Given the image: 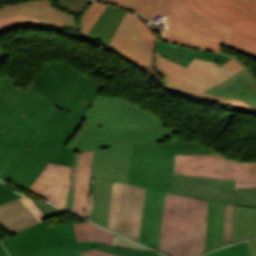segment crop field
Here are the masks:
<instances>
[{"instance_id": "crop-field-23", "label": "crop field", "mask_w": 256, "mask_h": 256, "mask_svg": "<svg viewBox=\"0 0 256 256\" xmlns=\"http://www.w3.org/2000/svg\"><path fill=\"white\" fill-rule=\"evenodd\" d=\"M78 241L95 240L111 244L113 234L90 223L74 224Z\"/></svg>"}, {"instance_id": "crop-field-42", "label": "crop field", "mask_w": 256, "mask_h": 256, "mask_svg": "<svg viewBox=\"0 0 256 256\" xmlns=\"http://www.w3.org/2000/svg\"><path fill=\"white\" fill-rule=\"evenodd\" d=\"M1 132V131H0Z\"/></svg>"}, {"instance_id": "crop-field-6", "label": "crop field", "mask_w": 256, "mask_h": 256, "mask_svg": "<svg viewBox=\"0 0 256 256\" xmlns=\"http://www.w3.org/2000/svg\"><path fill=\"white\" fill-rule=\"evenodd\" d=\"M159 53V52H158ZM154 52L155 68L165 77L164 85L172 91L209 102L227 103L240 109L256 111L241 99L212 96L202 92L228 80L245 68L241 63L230 59L223 65L194 58L187 68L175 64Z\"/></svg>"}, {"instance_id": "crop-field-41", "label": "crop field", "mask_w": 256, "mask_h": 256, "mask_svg": "<svg viewBox=\"0 0 256 256\" xmlns=\"http://www.w3.org/2000/svg\"><path fill=\"white\" fill-rule=\"evenodd\" d=\"M251 1L254 2V3L256 2V0H251Z\"/></svg>"}, {"instance_id": "crop-field-19", "label": "crop field", "mask_w": 256, "mask_h": 256, "mask_svg": "<svg viewBox=\"0 0 256 256\" xmlns=\"http://www.w3.org/2000/svg\"><path fill=\"white\" fill-rule=\"evenodd\" d=\"M93 151L82 152L79 162L73 213L84 217Z\"/></svg>"}, {"instance_id": "crop-field-31", "label": "crop field", "mask_w": 256, "mask_h": 256, "mask_svg": "<svg viewBox=\"0 0 256 256\" xmlns=\"http://www.w3.org/2000/svg\"><path fill=\"white\" fill-rule=\"evenodd\" d=\"M24 195L4 186V184L0 183V204L10 201V200H14L17 198H20Z\"/></svg>"}, {"instance_id": "crop-field-35", "label": "crop field", "mask_w": 256, "mask_h": 256, "mask_svg": "<svg viewBox=\"0 0 256 256\" xmlns=\"http://www.w3.org/2000/svg\"><path fill=\"white\" fill-rule=\"evenodd\" d=\"M113 245L115 246H122V247H128V248H132V249H141V250H147L133 242H130L124 238H121L117 235H114V241H113Z\"/></svg>"}, {"instance_id": "crop-field-25", "label": "crop field", "mask_w": 256, "mask_h": 256, "mask_svg": "<svg viewBox=\"0 0 256 256\" xmlns=\"http://www.w3.org/2000/svg\"><path fill=\"white\" fill-rule=\"evenodd\" d=\"M230 31L231 37L230 41L228 42L229 44L256 51V37L233 27L230 28Z\"/></svg>"}, {"instance_id": "crop-field-3", "label": "crop field", "mask_w": 256, "mask_h": 256, "mask_svg": "<svg viewBox=\"0 0 256 256\" xmlns=\"http://www.w3.org/2000/svg\"><path fill=\"white\" fill-rule=\"evenodd\" d=\"M165 124L166 122L123 97L106 98L99 95L73 134L75 138L65 146L74 151L65 209L70 211L73 207L81 151L130 143L167 142L166 138L181 141L173 136L180 130L164 127Z\"/></svg>"}, {"instance_id": "crop-field-2", "label": "crop field", "mask_w": 256, "mask_h": 256, "mask_svg": "<svg viewBox=\"0 0 256 256\" xmlns=\"http://www.w3.org/2000/svg\"><path fill=\"white\" fill-rule=\"evenodd\" d=\"M129 9L146 21L168 17L170 25L163 40L182 45L221 51L222 46L237 50L256 60V52L226 44L229 27L256 36V16L228 0H104Z\"/></svg>"}, {"instance_id": "crop-field-5", "label": "crop field", "mask_w": 256, "mask_h": 256, "mask_svg": "<svg viewBox=\"0 0 256 256\" xmlns=\"http://www.w3.org/2000/svg\"><path fill=\"white\" fill-rule=\"evenodd\" d=\"M208 202L166 193L159 250L171 256L204 254Z\"/></svg>"}, {"instance_id": "crop-field-22", "label": "crop field", "mask_w": 256, "mask_h": 256, "mask_svg": "<svg viewBox=\"0 0 256 256\" xmlns=\"http://www.w3.org/2000/svg\"><path fill=\"white\" fill-rule=\"evenodd\" d=\"M156 44V50L160 55L185 67H187L192 59L200 52V50L183 48L160 40L157 41Z\"/></svg>"}, {"instance_id": "crop-field-14", "label": "crop field", "mask_w": 256, "mask_h": 256, "mask_svg": "<svg viewBox=\"0 0 256 256\" xmlns=\"http://www.w3.org/2000/svg\"><path fill=\"white\" fill-rule=\"evenodd\" d=\"M16 83L14 79L8 76L1 80L0 103L24 115L43 97L32 84L26 91H23L16 87Z\"/></svg>"}, {"instance_id": "crop-field-4", "label": "crop field", "mask_w": 256, "mask_h": 256, "mask_svg": "<svg viewBox=\"0 0 256 256\" xmlns=\"http://www.w3.org/2000/svg\"><path fill=\"white\" fill-rule=\"evenodd\" d=\"M199 143L134 144L129 184L146 187L140 243L158 249L165 192L172 193L175 153H214Z\"/></svg>"}, {"instance_id": "crop-field-37", "label": "crop field", "mask_w": 256, "mask_h": 256, "mask_svg": "<svg viewBox=\"0 0 256 256\" xmlns=\"http://www.w3.org/2000/svg\"><path fill=\"white\" fill-rule=\"evenodd\" d=\"M79 255H84V256H115L103 251H98V250H93V251H89V252H85Z\"/></svg>"}, {"instance_id": "crop-field-18", "label": "crop field", "mask_w": 256, "mask_h": 256, "mask_svg": "<svg viewBox=\"0 0 256 256\" xmlns=\"http://www.w3.org/2000/svg\"><path fill=\"white\" fill-rule=\"evenodd\" d=\"M225 205L209 202L205 253L222 247Z\"/></svg>"}, {"instance_id": "crop-field-1", "label": "crop field", "mask_w": 256, "mask_h": 256, "mask_svg": "<svg viewBox=\"0 0 256 256\" xmlns=\"http://www.w3.org/2000/svg\"><path fill=\"white\" fill-rule=\"evenodd\" d=\"M32 84L44 98L0 133V180L64 208L73 157L64 146L103 85L61 61Z\"/></svg>"}, {"instance_id": "crop-field-16", "label": "crop field", "mask_w": 256, "mask_h": 256, "mask_svg": "<svg viewBox=\"0 0 256 256\" xmlns=\"http://www.w3.org/2000/svg\"><path fill=\"white\" fill-rule=\"evenodd\" d=\"M38 223L20 199L0 205V226L9 234Z\"/></svg>"}, {"instance_id": "crop-field-12", "label": "crop field", "mask_w": 256, "mask_h": 256, "mask_svg": "<svg viewBox=\"0 0 256 256\" xmlns=\"http://www.w3.org/2000/svg\"><path fill=\"white\" fill-rule=\"evenodd\" d=\"M157 40L142 20L127 12L108 47L146 69L154 61Z\"/></svg>"}, {"instance_id": "crop-field-7", "label": "crop field", "mask_w": 256, "mask_h": 256, "mask_svg": "<svg viewBox=\"0 0 256 256\" xmlns=\"http://www.w3.org/2000/svg\"><path fill=\"white\" fill-rule=\"evenodd\" d=\"M132 149L130 144L95 150L93 154L91 176L97 181L91 221L106 228L112 180L128 183Z\"/></svg>"}, {"instance_id": "crop-field-15", "label": "crop field", "mask_w": 256, "mask_h": 256, "mask_svg": "<svg viewBox=\"0 0 256 256\" xmlns=\"http://www.w3.org/2000/svg\"><path fill=\"white\" fill-rule=\"evenodd\" d=\"M223 85L222 87L220 85L214 87L204 93L241 98L256 108V77L249 70L246 69L233 76Z\"/></svg>"}, {"instance_id": "crop-field-28", "label": "crop field", "mask_w": 256, "mask_h": 256, "mask_svg": "<svg viewBox=\"0 0 256 256\" xmlns=\"http://www.w3.org/2000/svg\"><path fill=\"white\" fill-rule=\"evenodd\" d=\"M22 115L0 104V130L6 129Z\"/></svg>"}, {"instance_id": "crop-field-34", "label": "crop field", "mask_w": 256, "mask_h": 256, "mask_svg": "<svg viewBox=\"0 0 256 256\" xmlns=\"http://www.w3.org/2000/svg\"><path fill=\"white\" fill-rule=\"evenodd\" d=\"M33 201L38 205V207L42 210V212L45 214V216L47 218H50L56 214L64 213L63 211H61L51 205L43 204L34 199H33Z\"/></svg>"}, {"instance_id": "crop-field-11", "label": "crop field", "mask_w": 256, "mask_h": 256, "mask_svg": "<svg viewBox=\"0 0 256 256\" xmlns=\"http://www.w3.org/2000/svg\"><path fill=\"white\" fill-rule=\"evenodd\" d=\"M145 188L113 181L108 228L138 242Z\"/></svg>"}, {"instance_id": "crop-field-10", "label": "crop field", "mask_w": 256, "mask_h": 256, "mask_svg": "<svg viewBox=\"0 0 256 256\" xmlns=\"http://www.w3.org/2000/svg\"><path fill=\"white\" fill-rule=\"evenodd\" d=\"M235 181L174 174L173 193L256 208V188H234ZM214 189L218 190L214 192Z\"/></svg>"}, {"instance_id": "crop-field-40", "label": "crop field", "mask_w": 256, "mask_h": 256, "mask_svg": "<svg viewBox=\"0 0 256 256\" xmlns=\"http://www.w3.org/2000/svg\"><path fill=\"white\" fill-rule=\"evenodd\" d=\"M0 256H9L6 251L4 250L1 242H0Z\"/></svg>"}, {"instance_id": "crop-field-20", "label": "crop field", "mask_w": 256, "mask_h": 256, "mask_svg": "<svg viewBox=\"0 0 256 256\" xmlns=\"http://www.w3.org/2000/svg\"><path fill=\"white\" fill-rule=\"evenodd\" d=\"M256 236V209L234 206L231 243Z\"/></svg>"}, {"instance_id": "crop-field-33", "label": "crop field", "mask_w": 256, "mask_h": 256, "mask_svg": "<svg viewBox=\"0 0 256 256\" xmlns=\"http://www.w3.org/2000/svg\"><path fill=\"white\" fill-rule=\"evenodd\" d=\"M196 57L205 59V60H209V61H213V62H223V61H226L231 58V57H227V56H224L221 54L204 52V51H201Z\"/></svg>"}, {"instance_id": "crop-field-30", "label": "crop field", "mask_w": 256, "mask_h": 256, "mask_svg": "<svg viewBox=\"0 0 256 256\" xmlns=\"http://www.w3.org/2000/svg\"><path fill=\"white\" fill-rule=\"evenodd\" d=\"M232 210L233 206L226 205L225 212V228H224V245H227L231 241V231H232Z\"/></svg>"}, {"instance_id": "crop-field-26", "label": "crop field", "mask_w": 256, "mask_h": 256, "mask_svg": "<svg viewBox=\"0 0 256 256\" xmlns=\"http://www.w3.org/2000/svg\"><path fill=\"white\" fill-rule=\"evenodd\" d=\"M95 242V241H94ZM95 249L103 250L119 256H159L151 251L131 250L95 242Z\"/></svg>"}, {"instance_id": "crop-field-39", "label": "crop field", "mask_w": 256, "mask_h": 256, "mask_svg": "<svg viewBox=\"0 0 256 256\" xmlns=\"http://www.w3.org/2000/svg\"><path fill=\"white\" fill-rule=\"evenodd\" d=\"M7 54L1 47H0V63L8 56Z\"/></svg>"}, {"instance_id": "crop-field-32", "label": "crop field", "mask_w": 256, "mask_h": 256, "mask_svg": "<svg viewBox=\"0 0 256 256\" xmlns=\"http://www.w3.org/2000/svg\"><path fill=\"white\" fill-rule=\"evenodd\" d=\"M22 202L27 206V208L31 211V213L36 217L39 222H43L42 220L46 219L41 210L36 206V204L32 201L31 198L25 196L21 198Z\"/></svg>"}, {"instance_id": "crop-field-8", "label": "crop field", "mask_w": 256, "mask_h": 256, "mask_svg": "<svg viewBox=\"0 0 256 256\" xmlns=\"http://www.w3.org/2000/svg\"><path fill=\"white\" fill-rule=\"evenodd\" d=\"M77 25V18L56 8L52 0L2 5L0 9V35L27 27L60 32L66 27L77 28Z\"/></svg>"}, {"instance_id": "crop-field-24", "label": "crop field", "mask_w": 256, "mask_h": 256, "mask_svg": "<svg viewBox=\"0 0 256 256\" xmlns=\"http://www.w3.org/2000/svg\"><path fill=\"white\" fill-rule=\"evenodd\" d=\"M106 7V4H102L99 2L91 3L90 7L84 12L81 16V31L79 32L80 37H85L93 23L96 21L98 16L101 14L103 9Z\"/></svg>"}, {"instance_id": "crop-field-38", "label": "crop field", "mask_w": 256, "mask_h": 256, "mask_svg": "<svg viewBox=\"0 0 256 256\" xmlns=\"http://www.w3.org/2000/svg\"><path fill=\"white\" fill-rule=\"evenodd\" d=\"M248 245V249L250 252V256H256V238L246 241ZM255 251V252H253Z\"/></svg>"}, {"instance_id": "crop-field-27", "label": "crop field", "mask_w": 256, "mask_h": 256, "mask_svg": "<svg viewBox=\"0 0 256 256\" xmlns=\"http://www.w3.org/2000/svg\"><path fill=\"white\" fill-rule=\"evenodd\" d=\"M203 256V255H202ZM205 256H249L246 242H241L230 247L220 249Z\"/></svg>"}, {"instance_id": "crop-field-17", "label": "crop field", "mask_w": 256, "mask_h": 256, "mask_svg": "<svg viewBox=\"0 0 256 256\" xmlns=\"http://www.w3.org/2000/svg\"><path fill=\"white\" fill-rule=\"evenodd\" d=\"M125 14L126 11L107 5L86 37L101 41L108 46L114 32Z\"/></svg>"}, {"instance_id": "crop-field-13", "label": "crop field", "mask_w": 256, "mask_h": 256, "mask_svg": "<svg viewBox=\"0 0 256 256\" xmlns=\"http://www.w3.org/2000/svg\"><path fill=\"white\" fill-rule=\"evenodd\" d=\"M75 241L72 223L50 227L44 223H38L17 233V236L2 241V243L8 253L12 255V247L19 249L53 248Z\"/></svg>"}, {"instance_id": "crop-field-21", "label": "crop field", "mask_w": 256, "mask_h": 256, "mask_svg": "<svg viewBox=\"0 0 256 256\" xmlns=\"http://www.w3.org/2000/svg\"><path fill=\"white\" fill-rule=\"evenodd\" d=\"M74 233H75V230H74ZM75 238H76V234H75ZM93 249H94L93 241L75 242L67 246L53 248V249L18 250L13 248V256H79L76 254L93 250Z\"/></svg>"}, {"instance_id": "crop-field-36", "label": "crop field", "mask_w": 256, "mask_h": 256, "mask_svg": "<svg viewBox=\"0 0 256 256\" xmlns=\"http://www.w3.org/2000/svg\"><path fill=\"white\" fill-rule=\"evenodd\" d=\"M239 7L256 14V3H252L249 0H231Z\"/></svg>"}, {"instance_id": "crop-field-29", "label": "crop field", "mask_w": 256, "mask_h": 256, "mask_svg": "<svg viewBox=\"0 0 256 256\" xmlns=\"http://www.w3.org/2000/svg\"><path fill=\"white\" fill-rule=\"evenodd\" d=\"M64 7L68 8L76 14H80L84 8L90 3L89 0H59Z\"/></svg>"}, {"instance_id": "crop-field-9", "label": "crop field", "mask_w": 256, "mask_h": 256, "mask_svg": "<svg viewBox=\"0 0 256 256\" xmlns=\"http://www.w3.org/2000/svg\"><path fill=\"white\" fill-rule=\"evenodd\" d=\"M174 173L232 179L235 187H256V163L235 162L218 154H176Z\"/></svg>"}]
</instances>
